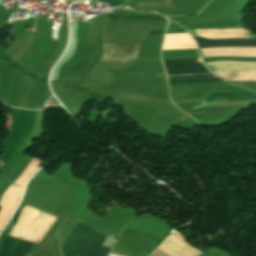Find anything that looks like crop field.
I'll use <instances>...</instances> for the list:
<instances>
[{
    "instance_id": "e52e79f7",
    "label": "crop field",
    "mask_w": 256,
    "mask_h": 256,
    "mask_svg": "<svg viewBox=\"0 0 256 256\" xmlns=\"http://www.w3.org/2000/svg\"><path fill=\"white\" fill-rule=\"evenodd\" d=\"M212 81H223L219 78H210V79H194V80H168L169 84H178V83H195V82H212Z\"/></svg>"
},
{
    "instance_id": "28ad6ade",
    "label": "crop field",
    "mask_w": 256,
    "mask_h": 256,
    "mask_svg": "<svg viewBox=\"0 0 256 256\" xmlns=\"http://www.w3.org/2000/svg\"><path fill=\"white\" fill-rule=\"evenodd\" d=\"M49 21V20H48Z\"/></svg>"
},
{
    "instance_id": "3316defc",
    "label": "crop field",
    "mask_w": 256,
    "mask_h": 256,
    "mask_svg": "<svg viewBox=\"0 0 256 256\" xmlns=\"http://www.w3.org/2000/svg\"><path fill=\"white\" fill-rule=\"evenodd\" d=\"M199 51H200V56L203 57L200 49H199Z\"/></svg>"
},
{
    "instance_id": "34b2d1b8",
    "label": "crop field",
    "mask_w": 256,
    "mask_h": 256,
    "mask_svg": "<svg viewBox=\"0 0 256 256\" xmlns=\"http://www.w3.org/2000/svg\"><path fill=\"white\" fill-rule=\"evenodd\" d=\"M192 37L197 43L198 48L219 47V46H255L256 47V39H252V38L210 40L206 38H200V37H194V36Z\"/></svg>"
},
{
    "instance_id": "ac0d7876",
    "label": "crop field",
    "mask_w": 256,
    "mask_h": 256,
    "mask_svg": "<svg viewBox=\"0 0 256 256\" xmlns=\"http://www.w3.org/2000/svg\"><path fill=\"white\" fill-rule=\"evenodd\" d=\"M162 61L165 65L167 75L209 72L201 61L196 59Z\"/></svg>"
},
{
    "instance_id": "d8731c3e",
    "label": "crop field",
    "mask_w": 256,
    "mask_h": 256,
    "mask_svg": "<svg viewBox=\"0 0 256 256\" xmlns=\"http://www.w3.org/2000/svg\"><path fill=\"white\" fill-rule=\"evenodd\" d=\"M211 76H213L212 73L175 75V76H168V79H189V78L211 77Z\"/></svg>"
},
{
    "instance_id": "f4fd0767",
    "label": "crop field",
    "mask_w": 256,
    "mask_h": 256,
    "mask_svg": "<svg viewBox=\"0 0 256 256\" xmlns=\"http://www.w3.org/2000/svg\"><path fill=\"white\" fill-rule=\"evenodd\" d=\"M31 244L32 243L30 242L21 241V243L18 245L12 256H26ZM36 247V244H32L27 256H32Z\"/></svg>"
},
{
    "instance_id": "412701ff",
    "label": "crop field",
    "mask_w": 256,
    "mask_h": 256,
    "mask_svg": "<svg viewBox=\"0 0 256 256\" xmlns=\"http://www.w3.org/2000/svg\"><path fill=\"white\" fill-rule=\"evenodd\" d=\"M25 206H24V208H25ZM19 242H20V240L8 235L6 241L4 242V244L0 250V256H11V254L13 253V251L15 250V248L17 247Z\"/></svg>"
},
{
    "instance_id": "8a807250",
    "label": "crop field",
    "mask_w": 256,
    "mask_h": 256,
    "mask_svg": "<svg viewBox=\"0 0 256 256\" xmlns=\"http://www.w3.org/2000/svg\"><path fill=\"white\" fill-rule=\"evenodd\" d=\"M105 235L78 224L61 249L63 256H95Z\"/></svg>"
},
{
    "instance_id": "5a996713",
    "label": "crop field",
    "mask_w": 256,
    "mask_h": 256,
    "mask_svg": "<svg viewBox=\"0 0 256 256\" xmlns=\"http://www.w3.org/2000/svg\"><path fill=\"white\" fill-rule=\"evenodd\" d=\"M109 251H110V248H106V247L101 246L97 256H107Z\"/></svg>"
},
{
    "instance_id": "dd49c442",
    "label": "crop field",
    "mask_w": 256,
    "mask_h": 256,
    "mask_svg": "<svg viewBox=\"0 0 256 256\" xmlns=\"http://www.w3.org/2000/svg\"><path fill=\"white\" fill-rule=\"evenodd\" d=\"M203 62H213V61H248L256 62V58L251 57H206L202 58Z\"/></svg>"
}]
</instances>
